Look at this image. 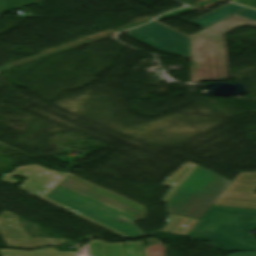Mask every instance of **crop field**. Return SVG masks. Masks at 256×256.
Listing matches in <instances>:
<instances>
[{
  "label": "crop field",
  "mask_w": 256,
  "mask_h": 256,
  "mask_svg": "<svg viewBox=\"0 0 256 256\" xmlns=\"http://www.w3.org/2000/svg\"><path fill=\"white\" fill-rule=\"evenodd\" d=\"M256 22L231 16L190 37L193 81L227 79L226 53L223 35L236 27Z\"/></svg>",
  "instance_id": "crop-field-4"
},
{
  "label": "crop field",
  "mask_w": 256,
  "mask_h": 256,
  "mask_svg": "<svg viewBox=\"0 0 256 256\" xmlns=\"http://www.w3.org/2000/svg\"><path fill=\"white\" fill-rule=\"evenodd\" d=\"M256 172L239 173L213 205L256 209Z\"/></svg>",
  "instance_id": "crop-field-6"
},
{
  "label": "crop field",
  "mask_w": 256,
  "mask_h": 256,
  "mask_svg": "<svg viewBox=\"0 0 256 256\" xmlns=\"http://www.w3.org/2000/svg\"><path fill=\"white\" fill-rule=\"evenodd\" d=\"M255 229L256 210L212 206L188 237L226 252L256 251V240L248 233Z\"/></svg>",
  "instance_id": "crop-field-3"
},
{
  "label": "crop field",
  "mask_w": 256,
  "mask_h": 256,
  "mask_svg": "<svg viewBox=\"0 0 256 256\" xmlns=\"http://www.w3.org/2000/svg\"><path fill=\"white\" fill-rule=\"evenodd\" d=\"M235 15L256 21V11L248 9V8L236 13Z\"/></svg>",
  "instance_id": "crop-field-13"
},
{
  "label": "crop field",
  "mask_w": 256,
  "mask_h": 256,
  "mask_svg": "<svg viewBox=\"0 0 256 256\" xmlns=\"http://www.w3.org/2000/svg\"><path fill=\"white\" fill-rule=\"evenodd\" d=\"M88 245L89 243H86L85 245H83L81 248V253L77 256H87Z\"/></svg>",
  "instance_id": "crop-field-16"
},
{
  "label": "crop field",
  "mask_w": 256,
  "mask_h": 256,
  "mask_svg": "<svg viewBox=\"0 0 256 256\" xmlns=\"http://www.w3.org/2000/svg\"><path fill=\"white\" fill-rule=\"evenodd\" d=\"M228 256H256V252H251V253H231Z\"/></svg>",
  "instance_id": "crop-field-15"
},
{
  "label": "crop field",
  "mask_w": 256,
  "mask_h": 256,
  "mask_svg": "<svg viewBox=\"0 0 256 256\" xmlns=\"http://www.w3.org/2000/svg\"><path fill=\"white\" fill-rule=\"evenodd\" d=\"M256 8V0H232Z\"/></svg>",
  "instance_id": "crop-field-14"
},
{
  "label": "crop field",
  "mask_w": 256,
  "mask_h": 256,
  "mask_svg": "<svg viewBox=\"0 0 256 256\" xmlns=\"http://www.w3.org/2000/svg\"><path fill=\"white\" fill-rule=\"evenodd\" d=\"M244 8L245 7L230 3L190 23L204 29Z\"/></svg>",
  "instance_id": "crop-field-9"
},
{
  "label": "crop field",
  "mask_w": 256,
  "mask_h": 256,
  "mask_svg": "<svg viewBox=\"0 0 256 256\" xmlns=\"http://www.w3.org/2000/svg\"><path fill=\"white\" fill-rule=\"evenodd\" d=\"M39 1L41 0H0V14L10 9H13L22 5L39 2Z\"/></svg>",
  "instance_id": "crop-field-12"
},
{
  "label": "crop field",
  "mask_w": 256,
  "mask_h": 256,
  "mask_svg": "<svg viewBox=\"0 0 256 256\" xmlns=\"http://www.w3.org/2000/svg\"><path fill=\"white\" fill-rule=\"evenodd\" d=\"M18 216L5 211L0 215V232L8 246L38 248L47 245H62L65 239L31 238L20 226Z\"/></svg>",
  "instance_id": "crop-field-7"
},
{
  "label": "crop field",
  "mask_w": 256,
  "mask_h": 256,
  "mask_svg": "<svg viewBox=\"0 0 256 256\" xmlns=\"http://www.w3.org/2000/svg\"><path fill=\"white\" fill-rule=\"evenodd\" d=\"M1 256H74L75 250L69 252H60L55 247H48L40 250H22V249H0Z\"/></svg>",
  "instance_id": "crop-field-10"
},
{
  "label": "crop field",
  "mask_w": 256,
  "mask_h": 256,
  "mask_svg": "<svg viewBox=\"0 0 256 256\" xmlns=\"http://www.w3.org/2000/svg\"><path fill=\"white\" fill-rule=\"evenodd\" d=\"M128 35L160 51L182 57L190 56L189 38L155 21L130 30Z\"/></svg>",
  "instance_id": "crop-field-5"
},
{
  "label": "crop field",
  "mask_w": 256,
  "mask_h": 256,
  "mask_svg": "<svg viewBox=\"0 0 256 256\" xmlns=\"http://www.w3.org/2000/svg\"><path fill=\"white\" fill-rule=\"evenodd\" d=\"M14 174L28 178L19 189L60 207L123 238L144 236L132 224L143 208L69 174L35 164L21 166L1 180L13 184Z\"/></svg>",
  "instance_id": "crop-field-1"
},
{
  "label": "crop field",
  "mask_w": 256,
  "mask_h": 256,
  "mask_svg": "<svg viewBox=\"0 0 256 256\" xmlns=\"http://www.w3.org/2000/svg\"><path fill=\"white\" fill-rule=\"evenodd\" d=\"M88 256H146L142 242L107 244L103 243L97 247H89Z\"/></svg>",
  "instance_id": "crop-field-8"
},
{
  "label": "crop field",
  "mask_w": 256,
  "mask_h": 256,
  "mask_svg": "<svg viewBox=\"0 0 256 256\" xmlns=\"http://www.w3.org/2000/svg\"><path fill=\"white\" fill-rule=\"evenodd\" d=\"M230 182L187 161L162 183L172 188L161 201L169 214L201 219Z\"/></svg>",
  "instance_id": "crop-field-2"
},
{
  "label": "crop field",
  "mask_w": 256,
  "mask_h": 256,
  "mask_svg": "<svg viewBox=\"0 0 256 256\" xmlns=\"http://www.w3.org/2000/svg\"><path fill=\"white\" fill-rule=\"evenodd\" d=\"M178 218L179 216H173V215L167 216V218L165 219L167 224L160 231L167 232ZM197 221H198L197 219L181 217L169 232L187 235L188 232L197 223Z\"/></svg>",
  "instance_id": "crop-field-11"
}]
</instances>
